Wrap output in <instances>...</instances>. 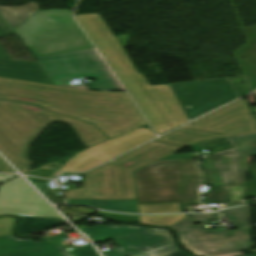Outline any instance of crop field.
<instances>
[{
    "label": "crop field",
    "instance_id": "crop-field-17",
    "mask_svg": "<svg viewBox=\"0 0 256 256\" xmlns=\"http://www.w3.org/2000/svg\"><path fill=\"white\" fill-rule=\"evenodd\" d=\"M150 228L131 227V226H95L80 230L88 235L94 243L114 237L146 230Z\"/></svg>",
    "mask_w": 256,
    "mask_h": 256
},
{
    "label": "crop field",
    "instance_id": "crop-field-26",
    "mask_svg": "<svg viewBox=\"0 0 256 256\" xmlns=\"http://www.w3.org/2000/svg\"><path fill=\"white\" fill-rule=\"evenodd\" d=\"M15 218L0 217V237L12 234Z\"/></svg>",
    "mask_w": 256,
    "mask_h": 256
},
{
    "label": "crop field",
    "instance_id": "crop-field-3",
    "mask_svg": "<svg viewBox=\"0 0 256 256\" xmlns=\"http://www.w3.org/2000/svg\"><path fill=\"white\" fill-rule=\"evenodd\" d=\"M67 123L86 147L108 138L94 126L46 111L34 105L0 100V151L23 174L33 162L27 158L29 144L52 122Z\"/></svg>",
    "mask_w": 256,
    "mask_h": 256
},
{
    "label": "crop field",
    "instance_id": "crop-field-8",
    "mask_svg": "<svg viewBox=\"0 0 256 256\" xmlns=\"http://www.w3.org/2000/svg\"><path fill=\"white\" fill-rule=\"evenodd\" d=\"M187 215L170 228L176 232L180 245L197 256L242 251L254 246L249 238L250 227L227 231L226 228L203 230V225H194L210 223V219H219V212Z\"/></svg>",
    "mask_w": 256,
    "mask_h": 256
},
{
    "label": "crop field",
    "instance_id": "crop-field-12",
    "mask_svg": "<svg viewBox=\"0 0 256 256\" xmlns=\"http://www.w3.org/2000/svg\"><path fill=\"white\" fill-rule=\"evenodd\" d=\"M154 137L150 129L137 128L75 154L68 159L62 171H85Z\"/></svg>",
    "mask_w": 256,
    "mask_h": 256
},
{
    "label": "crop field",
    "instance_id": "crop-field-14",
    "mask_svg": "<svg viewBox=\"0 0 256 256\" xmlns=\"http://www.w3.org/2000/svg\"><path fill=\"white\" fill-rule=\"evenodd\" d=\"M123 247L103 251L104 256H159L179 249L169 232L155 228L118 238H114Z\"/></svg>",
    "mask_w": 256,
    "mask_h": 256
},
{
    "label": "crop field",
    "instance_id": "crop-field-23",
    "mask_svg": "<svg viewBox=\"0 0 256 256\" xmlns=\"http://www.w3.org/2000/svg\"><path fill=\"white\" fill-rule=\"evenodd\" d=\"M185 214L164 215V216H141L140 223L147 225L172 226L180 219L184 218Z\"/></svg>",
    "mask_w": 256,
    "mask_h": 256
},
{
    "label": "crop field",
    "instance_id": "crop-field-31",
    "mask_svg": "<svg viewBox=\"0 0 256 256\" xmlns=\"http://www.w3.org/2000/svg\"><path fill=\"white\" fill-rule=\"evenodd\" d=\"M0 171L1 172H15L1 157H0Z\"/></svg>",
    "mask_w": 256,
    "mask_h": 256
},
{
    "label": "crop field",
    "instance_id": "crop-field-15",
    "mask_svg": "<svg viewBox=\"0 0 256 256\" xmlns=\"http://www.w3.org/2000/svg\"><path fill=\"white\" fill-rule=\"evenodd\" d=\"M2 17V16H1ZM0 17V38L13 34V31ZM0 76L26 81L53 84L38 63L13 61L0 47Z\"/></svg>",
    "mask_w": 256,
    "mask_h": 256
},
{
    "label": "crop field",
    "instance_id": "crop-field-11",
    "mask_svg": "<svg viewBox=\"0 0 256 256\" xmlns=\"http://www.w3.org/2000/svg\"><path fill=\"white\" fill-rule=\"evenodd\" d=\"M169 86L189 121L238 98L228 78Z\"/></svg>",
    "mask_w": 256,
    "mask_h": 256
},
{
    "label": "crop field",
    "instance_id": "crop-field-25",
    "mask_svg": "<svg viewBox=\"0 0 256 256\" xmlns=\"http://www.w3.org/2000/svg\"><path fill=\"white\" fill-rule=\"evenodd\" d=\"M63 166L53 162L51 164L45 165L33 171L26 173V175L44 177V178H53L61 171Z\"/></svg>",
    "mask_w": 256,
    "mask_h": 256
},
{
    "label": "crop field",
    "instance_id": "crop-field-1",
    "mask_svg": "<svg viewBox=\"0 0 256 256\" xmlns=\"http://www.w3.org/2000/svg\"><path fill=\"white\" fill-rule=\"evenodd\" d=\"M0 99L34 104L86 121L109 139L147 124L125 93H98L0 77Z\"/></svg>",
    "mask_w": 256,
    "mask_h": 256
},
{
    "label": "crop field",
    "instance_id": "crop-field-20",
    "mask_svg": "<svg viewBox=\"0 0 256 256\" xmlns=\"http://www.w3.org/2000/svg\"><path fill=\"white\" fill-rule=\"evenodd\" d=\"M20 217L23 221L19 224L17 232L19 235H27L32 231L44 229L50 225L58 224L60 222H65L63 218Z\"/></svg>",
    "mask_w": 256,
    "mask_h": 256
},
{
    "label": "crop field",
    "instance_id": "crop-field-6",
    "mask_svg": "<svg viewBox=\"0 0 256 256\" xmlns=\"http://www.w3.org/2000/svg\"><path fill=\"white\" fill-rule=\"evenodd\" d=\"M71 13V10L36 12L14 30L34 57L94 48Z\"/></svg>",
    "mask_w": 256,
    "mask_h": 256
},
{
    "label": "crop field",
    "instance_id": "crop-field-22",
    "mask_svg": "<svg viewBox=\"0 0 256 256\" xmlns=\"http://www.w3.org/2000/svg\"><path fill=\"white\" fill-rule=\"evenodd\" d=\"M222 217H230L234 227L249 225V206L232 208L222 211Z\"/></svg>",
    "mask_w": 256,
    "mask_h": 256
},
{
    "label": "crop field",
    "instance_id": "crop-field-9",
    "mask_svg": "<svg viewBox=\"0 0 256 256\" xmlns=\"http://www.w3.org/2000/svg\"><path fill=\"white\" fill-rule=\"evenodd\" d=\"M36 59L55 85L84 89L83 85H69L67 80L88 77L96 79V82L87 85L91 89L123 91L95 49Z\"/></svg>",
    "mask_w": 256,
    "mask_h": 256
},
{
    "label": "crop field",
    "instance_id": "crop-field-35",
    "mask_svg": "<svg viewBox=\"0 0 256 256\" xmlns=\"http://www.w3.org/2000/svg\"><path fill=\"white\" fill-rule=\"evenodd\" d=\"M11 177H14L13 175H0V182L8 179V178H11Z\"/></svg>",
    "mask_w": 256,
    "mask_h": 256
},
{
    "label": "crop field",
    "instance_id": "crop-field-18",
    "mask_svg": "<svg viewBox=\"0 0 256 256\" xmlns=\"http://www.w3.org/2000/svg\"><path fill=\"white\" fill-rule=\"evenodd\" d=\"M67 203L88 205L109 211L138 213L136 200H67Z\"/></svg>",
    "mask_w": 256,
    "mask_h": 256
},
{
    "label": "crop field",
    "instance_id": "crop-field-29",
    "mask_svg": "<svg viewBox=\"0 0 256 256\" xmlns=\"http://www.w3.org/2000/svg\"><path fill=\"white\" fill-rule=\"evenodd\" d=\"M92 247H91V245H89V246L73 249V251L75 253H77L79 256H92V255H96L97 253L95 252V250Z\"/></svg>",
    "mask_w": 256,
    "mask_h": 256
},
{
    "label": "crop field",
    "instance_id": "crop-field-2",
    "mask_svg": "<svg viewBox=\"0 0 256 256\" xmlns=\"http://www.w3.org/2000/svg\"><path fill=\"white\" fill-rule=\"evenodd\" d=\"M75 16L158 135L188 121L168 84L150 86L145 77H133L119 54L124 49L97 14Z\"/></svg>",
    "mask_w": 256,
    "mask_h": 256
},
{
    "label": "crop field",
    "instance_id": "crop-field-34",
    "mask_svg": "<svg viewBox=\"0 0 256 256\" xmlns=\"http://www.w3.org/2000/svg\"><path fill=\"white\" fill-rule=\"evenodd\" d=\"M59 250V252L61 254H63L64 256H78L77 254H75L72 250L71 251H67L65 250L63 247L57 248Z\"/></svg>",
    "mask_w": 256,
    "mask_h": 256
},
{
    "label": "crop field",
    "instance_id": "crop-field-21",
    "mask_svg": "<svg viewBox=\"0 0 256 256\" xmlns=\"http://www.w3.org/2000/svg\"><path fill=\"white\" fill-rule=\"evenodd\" d=\"M239 154L256 155V134L229 138Z\"/></svg>",
    "mask_w": 256,
    "mask_h": 256
},
{
    "label": "crop field",
    "instance_id": "crop-field-32",
    "mask_svg": "<svg viewBox=\"0 0 256 256\" xmlns=\"http://www.w3.org/2000/svg\"><path fill=\"white\" fill-rule=\"evenodd\" d=\"M163 256H191V255L179 249L175 252H172Z\"/></svg>",
    "mask_w": 256,
    "mask_h": 256
},
{
    "label": "crop field",
    "instance_id": "crop-field-7",
    "mask_svg": "<svg viewBox=\"0 0 256 256\" xmlns=\"http://www.w3.org/2000/svg\"><path fill=\"white\" fill-rule=\"evenodd\" d=\"M252 132H256V126L249 104L239 99L156 140L190 146L201 140Z\"/></svg>",
    "mask_w": 256,
    "mask_h": 256
},
{
    "label": "crop field",
    "instance_id": "crop-field-4",
    "mask_svg": "<svg viewBox=\"0 0 256 256\" xmlns=\"http://www.w3.org/2000/svg\"><path fill=\"white\" fill-rule=\"evenodd\" d=\"M182 148L152 141L85 173L81 188L66 190L67 199H136L133 171Z\"/></svg>",
    "mask_w": 256,
    "mask_h": 256
},
{
    "label": "crop field",
    "instance_id": "crop-field-30",
    "mask_svg": "<svg viewBox=\"0 0 256 256\" xmlns=\"http://www.w3.org/2000/svg\"><path fill=\"white\" fill-rule=\"evenodd\" d=\"M121 56L123 57L124 61L126 62V64L128 65L129 69L131 70V72L133 73L134 77H142L143 75L141 73H137L134 66L132 65L129 57L127 56L126 52L120 53Z\"/></svg>",
    "mask_w": 256,
    "mask_h": 256
},
{
    "label": "crop field",
    "instance_id": "crop-field-19",
    "mask_svg": "<svg viewBox=\"0 0 256 256\" xmlns=\"http://www.w3.org/2000/svg\"><path fill=\"white\" fill-rule=\"evenodd\" d=\"M39 11L38 4L29 2L18 7L0 6V13L14 29L33 13Z\"/></svg>",
    "mask_w": 256,
    "mask_h": 256
},
{
    "label": "crop field",
    "instance_id": "crop-field-13",
    "mask_svg": "<svg viewBox=\"0 0 256 256\" xmlns=\"http://www.w3.org/2000/svg\"><path fill=\"white\" fill-rule=\"evenodd\" d=\"M62 217L20 176L0 186V215Z\"/></svg>",
    "mask_w": 256,
    "mask_h": 256
},
{
    "label": "crop field",
    "instance_id": "crop-field-36",
    "mask_svg": "<svg viewBox=\"0 0 256 256\" xmlns=\"http://www.w3.org/2000/svg\"><path fill=\"white\" fill-rule=\"evenodd\" d=\"M247 97H248V102H249V104H250V105H255L253 96L250 94V95H248Z\"/></svg>",
    "mask_w": 256,
    "mask_h": 256
},
{
    "label": "crop field",
    "instance_id": "crop-field-27",
    "mask_svg": "<svg viewBox=\"0 0 256 256\" xmlns=\"http://www.w3.org/2000/svg\"><path fill=\"white\" fill-rule=\"evenodd\" d=\"M243 187L231 188L230 204L227 207L240 204Z\"/></svg>",
    "mask_w": 256,
    "mask_h": 256
},
{
    "label": "crop field",
    "instance_id": "crop-field-28",
    "mask_svg": "<svg viewBox=\"0 0 256 256\" xmlns=\"http://www.w3.org/2000/svg\"><path fill=\"white\" fill-rule=\"evenodd\" d=\"M62 255L57 251V249H53V250H47V251L22 254L17 256H62Z\"/></svg>",
    "mask_w": 256,
    "mask_h": 256
},
{
    "label": "crop field",
    "instance_id": "crop-field-37",
    "mask_svg": "<svg viewBox=\"0 0 256 256\" xmlns=\"http://www.w3.org/2000/svg\"><path fill=\"white\" fill-rule=\"evenodd\" d=\"M254 117V120H255V123H256V116H253Z\"/></svg>",
    "mask_w": 256,
    "mask_h": 256
},
{
    "label": "crop field",
    "instance_id": "crop-field-24",
    "mask_svg": "<svg viewBox=\"0 0 256 256\" xmlns=\"http://www.w3.org/2000/svg\"><path fill=\"white\" fill-rule=\"evenodd\" d=\"M137 207L139 209V213L179 212L178 203L137 205Z\"/></svg>",
    "mask_w": 256,
    "mask_h": 256
},
{
    "label": "crop field",
    "instance_id": "crop-field-38",
    "mask_svg": "<svg viewBox=\"0 0 256 256\" xmlns=\"http://www.w3.org/2000/svg\"><path fill=\"white\" fill-rule=\"evenodd\" d=\"M240 256H243V255H240ZM250 256H253V255H250Z\"/></svg>",
    "mask_w": 256,
    "mask_h": 256
},
{
    "label": "crop field",
    "instance_id": "crop-field-10",
    "mask_svg": "<svg viewBox=\"0 0 256 256\" xmlns=\"http://www.w3.org/2000/svg\"><path fill=\"white\" fill-rule=\"evenodd\" d=\"M246 173L245 156L237 154L235 149L213 154L202 161V185L208 187L201 193L203 204L229 203L230 187L243 186Z\"/></svg>",
    "mask_w": 256,
    "mask_h": 256
},
{
    "label": "crop field",
    "instance_id": "crop-field-5",
    "mask_svg": "<svg viewBox=\"0 0 256 256\" xmlns=\"http://www.w3.org/2000/svg\"><path fill=\"white\" fill-rule=\"evenodd\" d=\"M137 204H197L199 171L192 159L157 161L134 171Z\"/></svg>",
    "mask_w": 256,
    "mask_h": 256
},
{
    "label": "crop field",
    "instance_id": "crop-field-33",
    "mask_svg": "<svg viewBox=\"0 0 256 256\" xmlns=\"http://www.w3.org/2000/svg\"><path fill=\"white\" fill-rule=\"evenodd\" d=\"M249 174L251 175L253 181H256V165L247 167Z\"/></svg>",
    "mask_w": 256,
    "mask_h": 256
},
{
    "label": "crop field",
    "instance_id": "crop-field-16",
    "mask_svg": "<svg viewBox=\"0 0 256 256\" xmlns=\"http://www.w3.org/2000/svg\"><path fill=\"white\" fill-rule=\"evenodd\" d=\"M68 235H58L44 239L42 242L32 243L29 240H18L14 236L0 238V256L26 253L46 248L65 246L63 238ZM60 242H57V241Z\"/></svg>",
    "mask_w": 256,
    "mask_h": 256
},
{
    "label": "crop field",
    "instance_id": "crop-field-39",
    "mask_svg": "<svg viewBox=\"0 0 256 256\" xmlns=\"http://www.w3.org/2000/svg\"><path fill=\"white\" fill-rule=\"evenodd\" d=\"M253 94H255V95H256V92H255V93H253Z\"/></svg>",
    "mask_w": 256,
    "mask_h": 256
}]
</instances>
